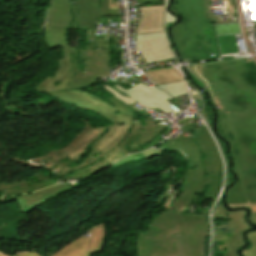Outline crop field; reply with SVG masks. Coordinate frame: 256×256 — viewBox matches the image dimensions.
I'll return each mask as SVG.
<instances>
[{
  "mask_svg": "<svg viewBox=\"0 0 256 256\" xmlns=\"http://www.w3.org/2000/svg\"><path fill=\"white\" fill-rule=\"evenodd\" d=\"M105 40H96V49L70 47L71 72L76 73L66 90L83 88L95 83V78L109 75L110 50H104Z\"/></svg>",
  "mask_w": 256,
  "mask_h": 256,
  "instance_id": "dd49c442",
  "label": "crop field"
},
{
  "mask_svg": "<svg viewBox=\"0 0 256 256\" xmlns=\"http://www.w3.org/2000/svg\"><path fill=\"white\" fill-rule=\"evenodd\" d=\"M164 128L165 126L155 124L154 120H152L151 117L137 120V122L133 121L131 129L129 130L125 138L121 141V143L118 145V150L113 149L106 156L101 158L104 160V162L95 161L89 164V166H91L90 168H81L80 170H84V172L82 173L84 174L83 176H78L77 178L67 176V179L70 181L74 179L85 178L90 174L110 165L111 163L117 161L120 157L126 155L123 152L129 146L136 148L143 145L144 143L159 135L164 130Z\"/></svg>",
  "mask_w": 256,
  "mask_h": 256,
  "instance_id": "e52e79f7",
  "label": "crop field"
},
{
  "mask_svg": "<svg viewBox=\"0 0 256 256\" xmlns=\"http://www.w3.org/2000/svg\"><path fill=\"white\" fill-rule=\"evenodd\" d=\"M99 1H100L101 16L110 15L108 0H99Z\"/></svg>",
  "mask_w": 256,
  "mask_h": 256,
  "instance_id": "00972430",
  "label": "crop field"
},
{
  "mask_svg": "<svg viewBox=\"0 0 256 256\" xmlns=\"http://www.w3.org/2000/svg\"><path fill=\"white\" fill-rule=\"evenodd\" d=\"M1 256V255H0Z\"/></svg>",
  "mask_w": 256,
  "mask_h": 256,
  "instance_id": "120bbe31",
  "label": "crop field"
},
{
  "mask_svg": "<svg viewBox=\"0 0 256 256\" xmlns=\"http://www.w3.org/2000/svg\"><path fill=\"white\" fill-rule=\"evenodd\" d=\"M73 29H95V16H100L98 0H70Z\"/></svg>",
  "mask_w": 256,
  "mask_h": 256,
  "instance_id": "28ad6ade",
  "label": "crop field"
},
{
  "mask_svg": "<svg viewBox=\"0 0 256 256\" xmlns=\"http://www.w3.org/2000/svg\"><path fill=\"white\" fill-rule=\"evenodd\" d=\"M214 1V0H212ZM227 5H235V0H226Z\"/></svg>",
  "mask_w": 256,
  "mask_h": 256,
  "instance_id": "ae1a2a85",
  "label": "crop field"
},
{
  "mask_svg": "<svg viewBox=\"0 0 256 256\" xmlns=\"http://www.w3.org/2000/svg\"><path fill=\"white\" fill-rule=\"evenodd\" d=\"M113 88L117 89L118 91H120L121 93L129 96L130 98L138 101L139 103L145 105L146 107L154 110L155 108L151 107L150 105H148L147 103L143 102L142 100H140L139 98L135 97L134 95H132L130 92H128L127 90L123 89L120 85H115Z\"/></svg>",
  "mask_w": 256,
  "mask_h": 256,
  "instance_id": "dafd665d",
  "label": "crop field"
},
{
  "mask_svg": "<svg viewBox=\"0 0 256 256\" xmlns=\"http://www.w3.org/2000/svg\"><path fill=\"white\" fill-rule=\"evenodd\" d=\"M202 70L221 108L217 130L230 142L239 175L227 191V203H256V65L242 58L205 63Z\"/></svg>",
  "mask_w": 256,
  "mask_h": 256,
  "instance_id": "8a807250",
  "label": "crop field"
},
{
  "mask_svg": "<svg viewBox=\"0 0 256 256\" xmlns=\"http://www.w3.org/2000/svg\"><path fill=\"white\" fill-rule=\"evenodd\" d=\"M0 254H1V255H3V256H7V255H5V254H4V253H2V252H0Z\"/></svg>",
  "mask_w": 256,
  "mask_h": 256,
  "instance_id": "750c4746",
  "label": "crop field"
},
{
  "mask_svg": "<svg viewBox=\"0 0 256 256\" xmlns=\"http://www.w3.org/2000/svg\"><path fill=\"white\" fill-rule=\"evenodd\" d=\"M245 213L246 211L227 212L220 204L214 214V217H232V234L217 233L216 237L217 241L229 242V248L225 256H238L235 250L244 245L241 232L251 228L247 226L244 220Z\"/></svg>",
  "mask_w": 256,
  "mask_h": 256,
  "instance_id": "5a996713",
  "label": "crop field"
},
{
  "mask_svg": "<svg viewBox=\"0 0 256 256\" xmlns=\"http://www.w3.org/2000/svg\"><path fill=\"white\" fill-rule=\"evenodd\" d=\"M72 189L69 183H63L59 184L50 188H46L43 190H40L36 193H32L33 195H24V196H18V197H12L9 199H6V203L15 201L19 204V206L24 211V214H28L30 211H32L34 208H36L38 205L56 197L62 192L68 191Z\"/></svg>",
  "mask_w": 256,
  "mask_h": 256,
  "instance_id": "d1516ede",
  "label": "crop field"
},
{
  "mask_svg": "<svg viewBox=\"0 0 256 256\" xmlns=\"http://www.w3.org/2000/svg\"><path fill=\"white\" fill-rule=\"evenodd\" d=\"M160 154H161V150L155 151L153 149L143 152V155L145 158L160 155Z\"/></svg>",
  "mask_w": 256,
  "mask_h": 256,
  "instance_id": "a9b5d70f",
  "label": "crop field"
},
{
  "mask_svg": "<svg viewBox=\"0 0 256 256\" xmlns=\"http://www.w3.org/2000/svg\"><path fill=\"white\" fill-rule=\"evenodd\" d=\"M103 89H105L106 91H108L110 94H112L114 97H116L117 99H119L120 101H122L124 104H126L127 106H132L138 102L130 99L129 97L121 94L120 92L116 91L115 89H113L111 86L104 84L101 86Z\"/></svg>",
  "mask_w": 256,
  "mask_h": 256,
  "instance_id": "214f88e0",
  "label": "crop field"
},
{
  "mask_svg": "<svg viewBox=\"0 0 256 256\" xmlns=\"http://www.w3.org/2000/svg\"><path fill=\"white\" fill-rule=\"evenodd\" d=\"M64 55L59 58L61 64L54 78L48 77L42 84L38 85L36 91H59L64 90L73 78L74 74L70 73V52L69 47L61 48Z\"/></svg>",
  "mask_w": 256,
  "mask_h": 256,
  "instance_id": "22f410ed",
  "label": "crop field"
},
{
  "mask_svg": "<svg viewBox=\"0 0 256 256\" xmlns=\"http://www.w3.org/2000/svg\"><path fill=\"white\" fill-rule=\"evenodd\" d=\"M252 221L256 223V212L252 213ZM248 239L253 244V248L242 252L244 256H256V232L248 233Z\"/></svg>",
  "mask_w": 256,
  "mask_h": 256,
  "instance_id": "92a150f3",
  "label": "crop field"
},
{
  "mask_svg": "<svg viewBox=\"0 0 256 256\" xmlns=\"http://www.w3.org/2000/svg\"><path fill=\"white\" fill-rule=\"evenodd\" d=\"M156 85L183 80L174 68L144 72Z\"/></svg>",
  "mask_w": 256,
  "mask_h": 256,
  "instance_id": "733c2abd",
  "label": "crop field"
},
{
  "mask_svg": "<svg viewBox=\"0 0 256 256\" xmlns=\"http://www.w3.org/2000/svg\"><path fill=\"white\" fill-rule=\"evenodd\" d=\"M210 8L211 0H176L174 9L188 20L174 28L175 40L184 57L220 56L213 26L214 13H209Z\"/></svg>",
  "mask_w": 256,
  "mask_h": 256,
  "instance_id": "412701ff",
  "label": "crop field"
},
{
  "mask_svg": "<svg viewBox=\"0 0 256 256\" xmlns=\"http://www.w3.org/2000/svg\"><path fill=\"white\" fill-rule=\"evenodd\" d=\"M253 211H256V207H252Z\"/></svg>",
  "mask_w": 256,
  "mask_h": 256,
  "instance_id": "bd1437ed",
  "label": "crop field"
},
{
  "mask_svg": "<svg viewBox=\"0 0 256 256\" xmlns=\"http://www.w3.org/2000/svg\"><path fill=\"white\" fill-rule=\"evenodd\" d=\"M45 41L50 48L67 46L65 30H45Z\"/></svg>",
  "mask_w": 256,
  "mask_h": 256,
  "instance_id": "4a817a6b",
  "label": "crop field"
},
{
  "mask_svg": "<svg viewBox=\"0 0 256 256\" xmlns=\"http://www.w3.org/2000/svg\"><path fill=\"white\" fill-rule=\"evenodd\" d=\"M127 90L151 106L158 107L166 113L169 111L174 112V109L169 106L171 104L166 99L188 94L185 83L182 81L153 88L139 83Z\"/></svg>",
  "mask_w": 256,
  "mask_h": 256,
  "instance_id": "d8731c3e",
  "label": "crop field"
},
{
  "mask_svg": "<svg viewBox=\"0 0 256 256\" xmlns=\"http://www.w3.org/2000/svg\"><path fill=\"white\" fill-rule=\"evenodd\" d=\"M140 35H143V38H146V37L162 36V35H165V33L160 32V33H150V34H140Z\"/></svg>",
  "mask_w": 256,
  "mask_h": 256,
  "instance_id": "4177f3b9",
  "label": "crop field"
},
{
  "mask_svg": "<svg viewBox=\"0 0 256 256\" xmlns=\"http://www.w3.org/2000/svg\"><path fill=\"white\" fill-rule=\"evenodd\" d=\"M207 235V217L166 211L150 225L146 256H205Z\"/></svg>",
  "mask_w": 256,
  "mask_h": 256,
  "instance_id": "34b2d1b8",
  "label": "crop field"
},
{
  "mask_svg": "<svg viewBox=\"0 0 256 256\" xmlns=\"http://www.w3.org/2000/svg\"><path fill=\"white\" fill-rule=\"evenodd\" d=\"M91 233V241L88 252L95 253L100 250L102 246V241L105 236V226L101 224L92 230L89 231ZM105 239V238H104Z\"/></svg>",
  "mask_w": 256,
  "mask_h": 256,
  "instance_id": "bc2a9ffb",
  "label": "crop field"
},
{
  "mask_svg": "<svg viewBox=\"0 0 256 256\" xmlns=\"http://www.w3.org/2000/svg\"><path fill=\"white\" fill-rule=\"evenodd\" d=\"M140 20L136 34L164 31L163 6L139 7Z\"/></svg>",
  "mask_w": 256,
  "mask_h": 256,
  "instance_id": "cbeb9de0",
  "label": "crop field"
},
{
  "mask_svg": "<svg viewBox=\"0 0 256 256\" xmlns=\"http://www.w3.org/2000/svg\"><path fill=\"white\" fill-rule=\"evenodd\" d=\"M49 93L81 109H90L115 124L104 128H91L89 122L84 120L86 129L67 148L32 160L54 173L57 168H62L56 174H60L59 177L103 157L119 144L132 125L135 111L113 96L108 99L113 102L114 108L81 90Z\"/></svg>",
  "mask_w": 256,
  "mask_h": 256,
  "instance_id": "ac0d7876",
  "label": "crop field"
},
{
  "mask_svg": "<svg viewBox=\"0 0 256 256\" xmlns=\"http://www.w3.org/2000/svg\"><path fill=\"white\" fill-rule=\"evenodd\" d=\"M187 209H188L187 207H184V206H183L182 209H181V211H182V212H186Z\"/></svg>",
  "mask_w": 256,
  "mask_h": 256,
  "instance_id": "d3111659",
  "label": "crop field"
},
{
  "mask_svg": "<svg viewBox=\"0 0 256 256\" xmlns=\"http://www.w3.org/2000/svg\"><path fill=\"white\" fill-rule=\"evenodd\" d=\"M42 172L43 170H39V172L36 175L26 179L25 181L27 185L7 189L6 190L7 192H4L5 190H3L2 191L3 194L12 195V194L25 193V192L34 191V190L52 185L50 183L52 182V179L49 173L43 175L44 173L42 174Z\"/></svg>",
  "mask_w": 256,
  "mask_h": 256,
  "instance_id": "5142ce71",
  "label": "crop field"
},
{
  "mask_svg": "<svg viewBox=\"0 0 256 256\" xmlns=\"http://www.w3.org/2000/svg\"><path fill=\"white\" fill-rule=\"evenodd\" d=\"M89 238H80L63 248L52 256H91L86 249L88 246ZM16 256H39L35 251L30 253L17 254Z\"/></svg>",
  "mask_w": 256,
  "mask_h": 256,
  "instance_id": "d9b57169",
  "label": "crop field"
},
{
  "mask_svg": "<svg viewBox=\"0 0 256 256\" xmlns=\"http://www.w3.org/2000/svg\"><path fill=\"white\" fill-rule=\"evenodd\" d=\"M160 148L182 150L189 164L182 191L171 206L173 210L179 211L182 205L189 207L194 195L201 194L205 184L211 185L208 195L217 196L222 173L214 172L211 154L201 134L192 140L183 137L168 140Z\"/></svg>",
  "mask_w": 256,
  "mask_h": 256,
  "instance_id": "f4fd0767",
  "label": "crop field"
},
{
  "mask_svg": "<svg viewBox=\"0 0 256 256\" xmlns=\"http://www.w3.org/2000/svg\"><path fill=\"white\" fill-rule=\"evenodd\" d=\"M232 208L239 207V206H256V204H238V205H229Z\"/></svg>",
  "mask_w": 256,
  "mask_h": 256,
  "instance_id": "eef30255",
  "label": "crop field"
},
{
  "mask_svg": "<svg viewBox=\"0 0 256 256\" xmlns=\"http://www.w3.org/2000/svg\"><path fill=\"white\" fill-rule=\"evenodd\" d=\"M137 3H145V2H159L164 0H136Z\"/></svg>",
  "mask_w": 256,
  "mask_h": 256,
  "instance_id": "730fd06b",
  "label": "crop field"
},
{
  "mask_svg": "<svg viewBox=\"0 0 256 256\" xmlns=\"http://www.w3.org/2000/svg\"><path fill=\"white\" fill-rule=\"evenodd\" d=\"M250 210H251V212H252V209H251V207H248Z\"/></svg>",
  "mask_w": 256,
  "mask_h": 256,
  "instance_id": "1d83c4d3",
  "label": "crop field"
},
{
  "mask_svg": "<svg viewBox=\"0 0 256 256\" xmlns=\"http://www.w3.org/2000/svg\"><path fill=\"white\" fill-rule=\"evenodd\" d=\"M137 50H140L148 63L175 58L165 36L142 39L136 36Z\"/></svg>",
  "mask_w": 256,
  "mask_h": 256,
  "instance_id": "3316defc",
  "label": "crop field"
}]
</instances>
